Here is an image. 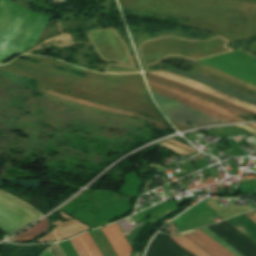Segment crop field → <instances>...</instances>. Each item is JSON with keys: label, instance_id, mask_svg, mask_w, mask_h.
I'll use <instances>...</instances> for the list:
<instances>
[{"label": "crop field", "instance_id": "8a807250", "mask_svg": "<svg viewBox=\"0 0 256 256\" xmlns=\"http://www.w3.org/2000/svg\"><path fill=\"white\" fill-rule=\"evenodd\" d=\"M40 214L24 203L0 193V229L10 234Z\"/></svg>", "mask_w": 256, "mask_h": 256}, {"label": "crop field", "instance_id": "ac0d7876", "mask_svg": "<svg viewBox=\"0 0 256 256\" xmlns=\"http://www.w3.org/2000/svg\"><path fill=\"white\" fill-rule=\"evenodd\" d=\"M146 256H194L170 237L159 233L152 242Z\"/></svg>", "mask_w": 256, "mask_h": 256}, {"label": "crop field", "instance_id": "34b2d1b8", "mask_svg": "<svg viewBox=\"0 0 256 256\" xmlns=\"http://www.w3.org/2000/svg\"><path fill=\"white\" fill-rule=\"evenodd\" d=\"M195 231L196 232L185 234L184 236L210 256H233L199 229H195Z\"/></svg>", "mask_w": 256, "mask_h": 256}, {"label": "crop field", "instance_id": "412701ff", "mask_svg": "<svg viewBox=\"0 0 256 256\" xmlns=\"http://www.w3.org/2000/svg\"><path fill=\"white\" fill-rule=\"evenodd\" d=\"M150 73L158 75V76L166 77V78H169V79H173V80L178 81L180 83L187 84V85H189L191 87H194V88H196V89H198L200 91L206 92L208 94L214 95L216 97L222 98L224 100L230 101V102L235 103L237 105L243 106V107L251 109L253 111H256V107L255 106H252V105H249L247 103L241 102L239 100H236V99L230 98L228 96L222 95V94H220L218 92H215V91H213V90H211L209 88H206V87H204V86H202L200 84H197V83H195V82H193L191 80H188V79H186L184 77L172 75V74L166 73L164 71L150 72Z\"/></svg>", "mask_w": 256, "mask_h": 256}, {"label": "crop field", "instance_id": "f4fd0767", "mask_svg": "<svg viewBox=\"0 0 256 256\" xmlns=\"http://www.w3.org/2000/svg\"><path fill=\"white\" fill-rule=\"evenodd\" d=\"M102 230L118 256H130L131 247L127 243L117 224L103 227Z\"/></svg>", "mask_w": 256, "mask_h": 256}, {"label": "crop field", "instance_id": "dd49c442", "mask_svg": "<svg viewBox=\"0 0 256 256\" xmlns=\"http://www.w3.org/2000/svg\"><path fill=\"white\" fill-rule=\"evenodd\" d=\"M79 256H101L89 233L70 239Z\"/></svg>", "mask_w": 256, "mask_h": 256}, {"label": "crop field", "instance_id": "e52e79f7", "mask_svg": "<svg viewBox=\"0 0 256 256\" xmlns=\"http://www.w3.org/2000/svg\"><path fill=\"white\" fill-rule=\"evenodd\" d=\"M53 244L20 246L5 244L7 256H40L42 252Z\"/></svg>", "mask_w": 256, "mask_h": 256}, {"label": "crop field", "instance_id": "d8731c3e", "mask_svg": "<svg viewBox=\"0 0 256 256\" xmlns=\"http://www.w3.org/2000/svg\"><path fill=\"white\" fill-rule=\"evenodd\" d=\"M47 232V219L45 218L43 221L39 222L35 226L31 227L29 230L17 235L14 238L9 239L10 241H25L34 239L41 234Z\"/></svg>", "mask_w": 256, "mask_h": 256}, {"label": "crop field", "instance_id": "5a996713", "mask_svg": "<svg viewBox=\"0 0 256 256\" xmlns=\"http://www.w3.org/2000/svg\"><path fill=\"white\" fill-rule=\"evenodd\" d=\"M90 234L103 256H117L101 229L90 231Z\"/></svg>", "mask_w": 256, "mask_h": 256}, {"label": "crop field", "instance_id": "3316defc", "mask_svg": "<svg viewBox=\"0 0 256 256\" xmlns=\"http://www.w3.org/2000/svg\"><path fill=\"white\" fill-rule=\"evenodd\" d=\"M173 238L177 243H179L182 247L190 251L196 256H209L204 251H202L200 248H198L196 245H194L191 241H189L187 238H185L180 233L175 234L173 236H170Z\"/></svg>", "mask_w": 256, "mask_h": 256}, {"label": "crop field", "instance_id": "28ad6ade", "mask_svg": "<svg viewBox=\"0 0 256 256\" xmlns=\"http://www.w3.org/2000/svg\"><path fill=\"white\" fill-rule=\"evenodd\" d=\"M204 233H206L209 237H211L213 240H215L217 243H219L222 247H224L226 250H228L231 254L234 256H243L239 252H237L234 248H232L230 245H228L226 242H224L222 239H220L217 235H215L213 232H211L206 227L200 228Z\"/></svg>", "mask_w": 256, "mask_h": 256}, {"label": "crop field", "instance_id": "d1516ede", "mask_svg": "<svg viewBox=\"0 0 256 256\" xmlns=\"http://www.w3.org/2000/svg\"><path fill=\"white\" fill-rule=\"evenodd\" d=\"M158 145H161V146L166 147V148H169V149H173L175 152H177V153H179V154H181V155H184V156H187V155L191 154V153H189V152H187V151H184V150H182V149L176 148V147L171 146V145H169V144H166V143H164V142H161V143L158 144Z\"/></svg>", "mask_w": 256, "mask_h": 256}, {"label": "crop field", "instance_id": "22f410ed", "mask_svg": "<svg viewBox=\"0 0 256 256\" xmlns=\"http://www.w3.org/2000/svg\"><path fill=\"white\" fill-rule=\"evenodd\" d=\"M165 142H168V143H171V144L180 146V147L185 148V149H187V150H189V151H192V152H194V153H197V152H198V151L195 150L194 148H192V147H190V146H188V145H185V144L178 143V142H176V141H174V140H172V139H169V140H167V141H165Z\"/></svg>", "mask_w": 256, "mask_h": 256}, {"label": "crop field", "instance_id": "cbeb9de0", "mask_svg": "<svg viewBox=\"0 0 256 256\" xmlns=\"http://www.w3.org/2000/svg\"><path fill=\"white\" fill-rule=\"evenodd\" d=\"M245 215H247L249 218H251L254 222H256V210L255 211H251V212H247ZM250 219V220H251Z\"/></svg>", "mask_w": 256, "mask_h": 256}, {"label": "crop field", "instance_id": "5142ce71", "mask_svg": "<svg viewBox=\"0 0 256 256\" xmlns=\"http://www.w3.org/2000/svg\"><path fill=\"white\" fill-rule=\"evenodd\" d=\"M42 256H52L49 250H46Z\"/></svg>", "mask_w": 256, "mask_h": 256}, {"label": "crop field", "instance_id": "d9b57169", "mask_svg": "<svg viewBox=\"0 0 256 256\" xmlns=\"http://www.w3.org/2000/svg\"><path fill=\"white\" fill-rule=\"evenodd\" d=\"M253 126H256V124H252Z\"/></svg>", "mask_w": 256, "mask_h": 256}]
</instances>
